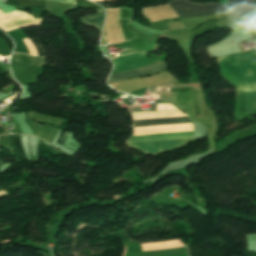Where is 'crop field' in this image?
Here are the masks:
<instances>
[{
    "instance_id": "10",
    "label": "crop field",
    "mask_w": 256,
    "mask_h": 256,
    "mask_svg": "<svg viewBox=\"0 0 256 256\" xmlns=\"http://www.w3.org/2000/svg\"><path fill=\"white\" fill-rule=\"evenodd\" d=\"M1 188V187H0Z\"/></svg>"
},
{
    "instance_id": "1",
    "label": "crop field",
    "mask_w": 256,
    "mask_h": 256,
    "mask_svg": "<svg viewBox=\"0 0 256 256\" xmlns=\"http://www.w3.org/2000/svg\"><path fill=\"white\" fill-rule=\"evenodd\" d=\"M174 106L169 103H157V107ZM158 111L180 110L176 107L157 108ZM191 125L187 117L181 118H167L154 120H140L134 121V129L142 128H156V127H170V126H184ZM178 130H192L191 126L184 127H170V128H156V129H142L134 130V132H148V131H178ZM178 134H192V131H178V132H148V133H134L133 136H150V135H178ZM192 135L180 136H156V137H132L127 144H143V143H162V142H182L191 141ZM188 142L182 143H163V144H143V145H129L130 148L138 149L146 154L154 155L170 150H174L186 145Z\"/></svg>"
},
{
    "instance_id": "4",
    "label": "crop field",
    "mask_w": 256,
    "mask_h": 256,
    "mask_svg": "<svg viewBox=\"0 0 256 256\" xmlns=\"http://www.w3.org/2000/svg\"><path fill=\"white\" fill-rule=\"evenodd\" d=\"M167 3L173 7L180 18L203 17L231 10V7L229 6L213 4L198 5L184 1H170Z\"/></svg>"
},
{
    "instance_id": "5",
    "label": "crop field",
    "mask_w": 256,
    "mask_h": 256,
    "mask_svg": "<svg viewBox=\"0 0 256 256\" xmlns=\"http://www.w3.org/2000/svg\"><path fill=\"white\" fill-rule=\"evenodd\" d=\"M13 138H14V145L16 146L18 151L20 152V155H21L22 159H26L23 152H22V149H21L20 135H13Z\"/></svg>"
},
{
    "instance_id": "7",
    "label": "crop field",
    "mask_w": 256,
    "mask_h": 256,
    "mask_svg": "<svg viewBox=\"0 0 256 256\" xmlns=\"http://www.w3.org/2000/svg\"><path fill=\"white\" fill-rule=\"evenodd\" d=\"M0 36L5 40V42L7 43V45L12 51V48H13L12 41L2 31H0Z\"/></svg>"
},
{
    "instance_id": "9",
    "label": "crop field",
    "mask_w": 256,
    "mask_h": 256,
    "mask_svg": "<svg viewBox=\"0 0 256 256\" xmlns=\"http://www.w3.org/2000/svg\"><path fill=\"white\" fill-rule=\"evenodd\" d=\"M122 35H123V33H122ZM123 37H124V35H123ZM124 39H125V41H127L125 37H124Z\"/></svg>"
},
{
    "instance_id": "6",
    "label": "crop field",
    "mask_w": 256,
    "mask_h": 256,
    "mask_svg": "<svg viewBox=\"0 0 256 256\" xmlns=\"http://www.w3.org/2000/svg\"><path fill=\"white\" fill-rule=\"evenodd\" d=\"M32 42L34 43L36 49H37V52H38V55L39 56H45L43 50H42V47H41V44L40 42L38 41V39L36 40H32Z\"/></svg>"
},
{
    "instance_id": "8",
    "label": "crop field",
    "mask_w": 256,
    "mask_h": 256,
    "mask_svg": "<svg viewBox=\"0 0 256 256\" xmlns=\"http://www.w3.org/2000/svg\"><path fill=\"white\" fill-rule=\"evenodd\" d=\"M49 1H55V2H61V3H67V4L75 5L74 0H49Z\"/></svg>"
},
{
    "instance_id": "3",
    "label": "crop field",
    "mask_w": 256,
    "mask_h": 256,
    "mask_svg": "<svg viewBox=\"0 0 256 256\" xmlns=\"http://www.w3.org/2000/svg\"><path fill=\"white\" fill-rule=\"evenodd\" d=\"M131 54H133V53H131ZM126 55H129V54H126ZM121 56H125V55H121ZM117 57H120V56H117ZM146 57L147 56H139L137 54H133V55L125 56V57L112 59L111 61L113 62L114 67H115V69L112 71V73L155 62ZM163 69H165L163 62H155V63L149 64V65L143 66V67L113 73L110 75L108 82L132 77V76H136V75H141V74H145V73H150V72H154V71H159V70H163ZM164 71H166V70L154 72V73H160V72H164ZM154 73H150V74H154ZM147 75H149V74H145V75H141V76H137V77H142V76H147ZM123 80H125V79H123ZM119 81H121V80H119ZM114 82H116V81H114Z\"/></svg>"
},
{
    "instance_id": "2",
    "label": "crop field",
    "mask_w": 256,
    "mask_h": 256,
    "mask_svg": "<svg viewBox=\"0 0 256 256\" xmlns=\"http://www.w3.org/2000/svg\"><path fill=\"white\" fill-rule=\"evenodd\" d=\"M236 59L246 87L244 113L256 110V54H236ZM234 55L217 59L221 76L235 89L234 119L244 120L256 111L243 115L245 87Z\"/></svg>"
}]
</instances>
